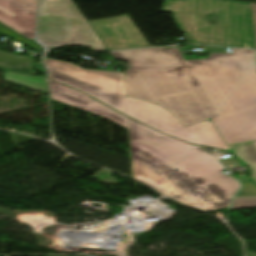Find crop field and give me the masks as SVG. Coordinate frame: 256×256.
Instances as JSON below:
<instances>
[{
	"label": "crop field",
	"instance_id": "8a807250",
	"mask_svg": "<svg viewBox=\"0 0 256 256\" xmlns=\"http://www.w3.org/2000/svg\"><path fill=\"white\" fill-rule=\"evenodd\" d=\"M232 50L193 60L179 48L110 53L131 65L127 96L158 103L187 126L211 119L229 145L256 140L255 51Z\"/></svg>",
	"mask_w": 256,
	"mask_h": 256
},
{
	"label": "crop field",
	"instance_id": "ac0d7876",
	"mask_svg": "<svg viewBox=\"0 0 256 256\" xmlns=\"http://www.w3.org/2000/svg\"><path fill=\"white\" fill-rule=\"evenodd\" d=\"M133 178L189 206L229 207L240 184L201 146L159 134L128 118Z\"/></svg>",
	"mask_w": 256,
	"mask_h": 256
},
{
	"label": "crop field",
	"instance_id": "34b2d1b8",
	"mask_svg": "<svg viewBox=\"0 0 256 256\" xmlns=\"http://www.w3.org/2000/svg\"><path fill=\"white\" fill-rule=\"evenodd\" d=\"M50 77L91 95L118 111L164 133L193 144L229 150L211 120L186 127L158 104L125 97L123 73L80 69L44 58Z\"/></svg>",
	"mask_w": 256,
	"mask_h": 256
},
{
	"label": "crop field",
	"instance_id": "412701ff",
	"mask_svg": "<svg viewBox=\"0 0 256 256\" xmlns=\"http://www.w3.org/2000/svg\"><path fill=\"white\" fill-rule=\"evenodd\" d=\"M161 11L173 12L178 26L195 43L256 48L248 2L165 0ZM207 15H216L217 23L211 25Z\"/></svg>",
	"mask_w": 256,
	"mask_h": 256
},
{
	"label": "crop field",
	"instance_id": "f4fd0767",
	"mask_svg": "<svg viewBox=\"0 0 256 256\" xmlns=\"http://www.w3.org/2000/svg\"><path fill=\"white\" fill-rule=\"evenodd\" d=\"M37 40L49 48L76 45L106 50L71 0H41Z\"/></svg>",
	"mask_w": 256,
	"mask_h": 256
},
{
	"label": "crop field",
	"instance_id": "dd49c442",
	"mask_svg": "<svg viewBox=\"0 0 256 256\" xmlns=\"http://www.w3.org/2000/svg\"><path fill=\"white\" fill-rule=\"evenodd\" d=\"M107 50L148 46L128 15L88 22Z\"/></svg>",
	"mask_w": 256,
	"mask_h": 256
},
{
	"label": "crop field",
	"instance_id": "e52e79f7",
	"mask_svg": "<svg viewBox=\"0 0 256 256\" xmlns=\"http://www.w3.org/2000/svg\"><path fill=\"white\" fill-rule=\"evenodd\" d=\"M37 2L38 0H0V21L34 40Z\"/></svg>",
	"mask_w": 256,
	"mask_h": 256
},
{
	"label": "crop field",
	"instance_id": "d8731c3e",
	"mask_svg": "<svg viewBox=\"0 0 256 256\" xmlns=\"http://www.w3.org/2000/svg\"><path fill=\"white\" fill-rule=\"evenodd\" d=\"M51 99L101 115L128 129L127 118L88 96L50 80Z\"/></svg>",
	"mask_w": 256,
	"mask_h": 256
},
{
	"label": "crop field",
	"instance_id": "5a996713",
	"mask_svg": "<svg viewBox=\"0 0 256 256\" xmlns=\"http://www.w3.org/2000/svg\"><path fill=\"white\" fill-rule=\"evenodd\" d=\"M33 59L0 51V68L32 74Z\"/></svg>",
	"mask_w": 256,
	"mask_h": 256
},
{
	"label": "crop field",
	"instance_id": "3316defc",
	"mask_svg": "<svg viewBox=\"0 0 256 256\" xmlns=\"http://www.w3.org/2000/svg\"><path fill=\"white\" fill-rule=\"evenodd\" d=\"M4 73L6 81L47 93L46 81L43 77L20 75L7 71Z\"/></svg>",
	"mask_w": 256,
	"mask_h": 256
},
{
	"label": "crop field",
	"instance_id": "28ad6ade",
	"mask_svg": "<svg viewBox=\"0 0 256 256\" xmlns=\"http://www.w3.org/2000/svg\"><path fill=\"white\" fill-rule=\"evenodd\" d=\"M231 148L239 159L250 166L253 172V179L256 182V148L253 143L233 145Z\"/></svg>",
	"mask_w": 256,
	"mask_h": 256
},
{
	"label": "crop field",
	"instance_id": "d1516ede",
	"mask_svg": "<svg viewBox=\"0 0 256 256\" xmlns=\"http://www.w3.org/2000/svg\"><path fill=\"white\" fill-rule=\"evenodd\" d=\"M248 208H256V196H242L234 199L232 209Z\"/></svg>",
	"mask_w": 256,
	"mask_h": 256
},
{
	"label": "crop field",
	"instance_id": "22f410ed",
	"mask_svg": "<svg viewBox=\"0 0 256 256\" xmlns=\"http://www.w3.org/2000/svg\"><path fill=\"white\" fill-rule=\"evenodd\" d=\"M0 34L2 35H5V36H8L14 40H18V41H21L23 42L24 44H26L27 46H29L30 48L34 49L36 53L39 52L40 50V46H38L37 44L35 43H32L24 38H22L21 36H19L18 34H16L15 32H13L12 30L0 25Z\"/></svg>",
	"mask_w": 256,
	"mask_h": 256
},
{
	"label": "crop field",
	"instance_id": "cbeb9de0",
	"mask_svg": "<svg viewBox=\"0 0 256 256\" xmlns=\"http://www.w3.org/2000/svg\"><path fill=\"white\" fill-rule=\"evenodd\" d=\"M251 6H252L254 30H255V37H256V4L251 3Z\"/></svg>",
	"mask_w": 256,
	"mask_h": 256
},
{
	"label": "crop field",
	"instance_id": "5142ce71",
	"mask_svg": "<svg viewBox=\"0 0 256 256\" xmlns=\"http://www.w3.org/2000/svg\"><path fill=\"white\" fill-rule=\"evenodd\" d=\"M254 145L256 146V142L254 143Z\"/></svg>",
	"mask_w": 256,
	"mask_h": 256
}]
</instances>
